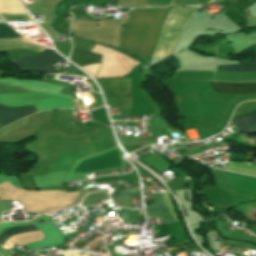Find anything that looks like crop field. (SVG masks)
<instances>
[{"mask_svg":"<svg viewBox=\"0 0 256 256\" xmlns=\"http://www.w3.org/2000/svg\"><path fill=\"white\" fill-rule=\"evenodd\" d=\"M64 61L55 51L45 50L34 57H26L16 62L14 66L20 71H37L44 73L59 74L54 68L55 63Z\"/></svg>","mask_w":256,"mask_h":256,"instance_id":"412701ff","label":"crop field"},{"mask_svg":"<svg viewBox=\"0 0 256 256\" xmlns=\"http://www.w3.org/2000/svg\"><path fill=\"white\" fill-rule=\"evenodd\" d=\"M193 13V10L184 8L170 9L153 56L165 58L168 55Z\"/></svg>","mask_w":256,"mask_h":256,"instance_id":"ac0d7876","label":"crop field"},{"mask_svg":"<svg viewBox=\"0 0 256 256\" xmlns=\"http://www.w3.org/2000/svg\"><path fill=\"white\" fill-rule=\"evenodd\" d=\"M168 8L133 9L124 21L119 49L134 56H151Z\"/></svg>","mask_w":256,"mask_h":256,"instance_id":"8a807250","label":"crop field"},{"mask_svg":"<svg viewBox=\"0 0 256 256\" xmlns=\"http://www.w3.org/2000/svg\"><path fill=\"white\" fill-rule=\"evenodd\" d=\"M15 48H27L34 51H42L46 49L45 47L29 44L25 40H7L0 41V50L1 49H15Z\"/></svg>","mask_w":256,"mask_h":256,"instance_id":"28ad6ade","label":"crop field"},{"mask_svg":"<svg viewBox=\"0 0 256 256\" xmlns=\"http://www.w3.org/2000/svg\"><path fill=\"white\" fill-rule=\"evenodd\" d=\"M119 215L124 219V223L136 222V217L133 211L130 210H120Z\"/></svg>","mask_w":256,"mask_h":256,"instance_id":"4a817a6b","label":"crop field"},{"mask_svg":"<svg viewBox=\"0 0 256 256\" xmlns=\"http://www.w3.org/2000/svg\"><path fill=\"white\" fill-rule=\"evenodd\" d=\"M169 0H147L144 7L166 6Z\"/></svg>","mask_w":256,"mask_h":256,"instance_id":"214f88e0","label":"crop field"},{"mask_svg":"<svg viewBox=\"0 0 256 256\" xmlns=\"http://www.w3.org/2000/svg\"><path fill=\"white\" fill-rule=\"evenodd\" d=\"M209 1L211 0H172L169 6H195Z\"/></svg>","mask_w":256,"mask_h":256,"instance_id":"733c2abd","label":"crop field"},{"mask_svg":"<svg viewBox=\"0 0 256 256\" xmlns=\"http://www.w3.org/2000/svg\"><path fill=\"white\" fill-rule=\"evenodd\" d=\"M112 198H138L140 197L139 190L137 189H120L114 190L111 194Z\"/></svg>","mask_w":256,"mask_h":256,"instance_id":"cbeb9de0","label":"crop field"},{"mask_svg":"<svg viewBox=\"0 0 256 256\" xmlns=\"http://www.w3.org/2000/svg\"><path fill=\"white\" fill-rule=\"evenodd\" d=\"M5 20L31 21L28 15L24 14H0Z\"/></svg>","mask_w":256,"mask_h":256,"instance_id":"bc2a9ffb","label":"crop field"},{"mask_svg":"<svg viewBox=\"0 0 256 256\" xmlns=\"http://www.w3.org/2000/svg\"><path fill=\"white\" fill-rule=\"evenodd\" d=\"M219 93H256V83H220L210 82Z\"/></svg>","mask_w":256,"mask_h":256,"instance_id":"d8731c3e","label":"crop field"},{"mask_svg":"<svg viewBox=\"0 0 256 256\" xmlns=\"http://www.w3.org/2000/svg\"><path fill=\"white\" fill-rule=\"evenodd\" d=\"M91 51L104 55L102 59L103 65L99 71L97 78L123 77L129 72V70L133 66L138 64L130 58L112 49L99 45H95V47L92 48Z\"/></svg>","mask_w":256,"mask_h":256,"instance_id":"34b2d1b8","label":"crop field"},{"mask_svg":"<svg viewBox=\"0 0 256 256\" xmlns=\"http://www.w3.org/2000/svg\"><path fill=\"white\" fill-rule=\"evenodd\" d=\"M21 38L10 26L7 24H0V39Z\"/></svg>","mask_w":256,"mask_h":256,"instance_id":"5142ce71","label":"crop field"},{"mask_svg":"<svg viewBox=\"0 0 256 256\" xmlns=\"http://www.w3.org/2000/svg\"><path fill=\"white\" fill-rule=\"evenodd\" d=\"M147 217H159V220L162 224L166 225L175 220L169 214L166 204L164 201L163 194H154L153 195V205L145 207Z\"/></svg>","mask_w":256,"mask_h":256,"instance_id":"dd49c442","label":"crop field"},{"mask_svg":"<svg viewBox=\"0 0 256 256\" xmlns=\"http://www.w3.org/2000/svg\"><path fill=\"white\" fill-rule=\"evenodd\" d=\"M0 222H2V221H0Z\"/></svg>","mask_w":256,"mask_h":256,"instance_id":"dafd665d","label":"crop field"},{"mask_svg":"<svg viewBox=\"0 0 256 256\" xmlns=\"http://www.w3.org/2000/svg\"><path fill=\"white\" fill-rule=\"evenodd\" d=\"M94 180L95 182L111 181V180H121V181L127 182V181L137 180V177L134 173H131V174H126L121 176H108V177L96 178Z\"/></svg>","mask_w":256,"mask_h":256,"instance_id":"d9b57169","label":"crop field"},{"mask_svg":"<svg viewBox=\"0 0 256 256\" xmlns=\"http://www.w3.org/2000/svg\"><path fill=\"white\" fill-rule=\"evenodd\" d=\"M108 98H119L120 107H131L130 78L107 79Z\"/></svg>","mask_w":256,"mask_h":256,"instance_id":"f4fd0767","label":"crop field"},{"mask_svg":"<svg viewBox=\"0 0 256 256\" xmlns=\"http://www.w3.org/2000/svg\"><path fill=\"white\" fill-rule=\"evenodd\" d=\"M100 65L101 64L90 65V66L82 67V69H84L89 75L95 78Z\"/></svg>","mask_w":256,"mask_h":256,"instance_id":"92a150f3","label":"crop field"},{"mask_svg":"<svg viewBox=\"0 0 256 256\" xmlns=\"http://www.w3.org/2000/svg\"><path fill=\"white\" fill-rule=\"evenodd\" d=\"M101 58L102 55L77 48H73L70 56V60L78 64L80 67L89 64L101 63Z\"/></svg>","mask_w":256,"mask_h":256,"instance_id":"5a996713","label":"crop field"},{"mask_svg":"<svg viewBox=\"0 0 256 256\" xmlns=\"http://www.w3.org/2000/svg\"><path fill=\"white\" fill-rule=\"evenodd\" d=\"M33 113H36L34 106L5 107L0 105V124L5 126Z\"/></svg>","mask_w":256,"mask_h":256,"instance_id":"e52e79f7","label":"crop field"},{"mask_svg":"<svg viewBox=\"0 0 256 256\" xmlns=\"http://www.w3.org/2000/svg\"><path fill=\"white\" fill-rule=\"evenodd\" d=\"M38 230L34 226H19V227H12L5 231H3L0 234V244H4V242L12 235L20 232H26V231H35Z\"/></svg>","mask_w":256,"mask_h":256,"instance_id":"d1516ede","label":"crop field"},{"mask_svg":"<svg viewBox=\"0 0 256 256\" xmlns=\"http://www.w3.org/2000/svg\"><path fill=\"white\" fill-rule=\"evenodd\" d=\"M216 70H256V51L254 62H239V65L217 66Z\"/></svg>","mask_w":256,"mask_h":256,"instance_id":"22f410ed","label":"crop field"},{"mask_svg":"<svg viewBox=\"0 0 256 256\" xmlns=\"http://www.w3.org/2000/svg\"><path fill=\"white\" fill-rule=\"evenodd\" d=\"M239 129L246 134L256 133V110L246 115L231 120Z\"/></svg>","mask_w":256,"mask_h":256,"instance_id":"3316defc","label":"crop field"}]
</instances>
